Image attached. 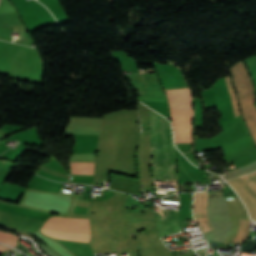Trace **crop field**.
I'll return each instance as SVG.
<instances>
[{
  "label": "crop field",
  "mask_w": 256,
  "mask_h": 256,
  "mask_svg": "<svg viewBox=\"0 0 256 256\" xmlns=\"http://www.w3.org/2000/svg\"><path fill=\"white\" fill-rule=\"evenodd\" d=\"M48 221L67 224V225L89 227L88 219L81 218V217H71V216L51 217L49 218ZM52 222H46V224L43 227L62 230V231L75 232V233L90 234L89 228L67 226V225H61V224H56ZM44 228H42L41 231L54 238L68 239V240H74V241H80V242H89L90 240V235L68 233V232H62V231H56V230H50V229H44Z\"/></svg>",
  "instance_id": "obj_1"
},
{
  "label": "crop field",
  "mask_w": 256,
  "mask_h": 256,
  "mask_svg": "<svg viewBox=\"0 0 256 256\" xmlns=\"http://www.w3.org/2000/svg\"><path fill=\"white\" fill-rule=\"evenodd\" d=\"M255 173L252 172L247 175L256 184ZM248 177L245 175L231 179L228 182L241 196L249 210L250 217L256 220V185Z\"/></svg>",
  "instance_id": "obj_2"
},
{
  "label": "crop field",
  "mask_w": 256,
  "mask_h": 256,
  "mask_svg": "<svg viewBox=\"0 0 256 256\" xmlns=\"http://www.w3.org/2000/svg\"><path fill=\"white\" fill-rule=\"evenodd\" d=\"M170 111H192L188 88L165 90Z\"/></svg>",
  "instance_id": "obj_3"
},
{
  "label": "crop field",
  "mask_w": 256,
  "mask_h": 256,
  "mask_svg": "<svg viewBox=\"0 0 256 256\" xmlns=\"http://www.w3.org/2000/svg\"><path fill=\"white\" fill-rule=\"evenodd\" d=\"M207 192L195 193L193 204V216L196 219L202 233L213 228L206 211Z\"/></svg>",
  "instance_id": "obj_4"
},
{
  "label": "crop field",
  "mask_w": 256,
  "mask_h": 256,
  "mask_svg": "<svg viewBox=\"0 0 256 256\" xmlns=\"http://www.w3.org/2000/svg\"><path fill=\"white\" fill-rule=\"evenodd\" d=\"M70 168L71 172L94 174L95 162H70Z\"/></svg>",
  "instance_id": "obj_5"
},
{
  "label": "crop field",
  "mask_w": 256,
  "mask_h": 256,
  "mask_svg": "<svg viewBox=\"0 0 256 256\" xmlns=\"http://www.w3.org/2000/svg\"><path fill=\"white\" fill-rule=\"evenodd\" d=\"M249 235V220H239V230L231 243L241 244Z\"/></svg>",
  "instance_id": "obj_6"
},
{
  "label": "crop field",
  "mask_w": 256,
  "mask_h": 256,
  "mask_svg": "<svg viewBox=\"0 0 256 256\" xmlns=\"http://www.w3.org/2000/svg\"><path fill=\"white\" fill-rule=\"evenodd\" d=\"M221 87L223 89L224 95H225V99H226V103H227V107H228V114L230 116V118L234 117V113H233V108H232V104H231V100L226 88V84H225V80L224 77L219 79Z\"/></svg>",
  "instance_id": "obj_7"
},
{
  "label": "crop field",
  "mask_w": 256,
  "mask_h": 256,
  "mask_svg": "<svg viewBox=\"0 0 256 256\" xmlns=\"http://www.w3.org/2000/svg\"><path fill=\"white\" fill-rule=\"evenodd\" d=\"M16 240H17L16 236H14L12 234H9V233H4V232L0 231V242L9 244L11 246H14Z\"/></svg>",
  "instance_id": "obj_8"
}]
</instances>
